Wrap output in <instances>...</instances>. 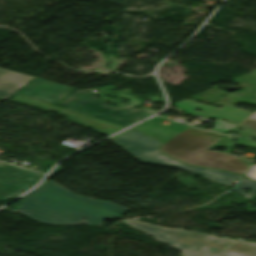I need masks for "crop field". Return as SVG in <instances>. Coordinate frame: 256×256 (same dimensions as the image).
<instances>
[{"label": "crop field", "instance_id": "8a807250", "mask_svg": "<svg viewBox=\"0 0 256 256\" xmlns=\"http://www.w3.org/2000/svg\"><path fill=\"white\" fill-rule=\"evenodd\" d=\"M126 211L128 209L106 201L73 194L51 181L23 196L20 206L15 209V212L44 224L98 227L102 226L103 220L114 221Z\"/></svg>", "mask_w": 256, "mask_h": 256}, {"label": "crop field", "instance_id": "ac0d7876", "mask_svg": "<svg viewBox=\"0 0 256 256\" xmlns=\"http://www.w3.org/2000/svg\"><path fill=\"white\" fill-rule=\"evenodd\" d=\"M163 120L153 117L134 129L153 136L163 144L160 148L162 152L187 164L218 168L241 175L248 170L240 158L207 149L223 135L176 123L168 128L158 125Z\"/></svg>", "mask_w": 256, "mask_h": 256}, {"label": "crop field", "instance_id": "34b2d1b8", "mask_svg": "<svg viewBox=\"0 0 256 256\" xmlns=\"http://www.w3.org/2000/svg\"><path fill=\"white\" fill-rule=\"evenodd\" d=\"M113 142L119 144L135 157L146 162L189 170L229 187H231L239 178V175L219 170L193 167L174 160L159 151L157 147L161 144H159V142L154 138L134 130L125 133L119 138L113 140Z\"/></svg>", "mask_w": 256, "mask_h": 256}, {"label": "crop field", "instance_id": "412701ff", "mask_svg": "<svg viewBox=\"0 0 256 256\" xmlns=\"http://www.w3.org/2000/svg\"><path fill=\"white\" fill-rule=\"evenodd\" d=\"M124 223L157 238L174 249L184 251L183 256H217L234 241L184 229H163L134 220Z\"/></svg>", "mask_w": 256, "mask_h": 256}, {"label": "crop field", "instance_id": "f4fd0767", "mask_svg": "<svg viewBox=\"0 0 256 256\" xmlns=\"http://www.w3.org/2000/svg\"><path fill=\"white\" fill-rule=\"evenodd\" d=\"M59 105H64L72 111L84 113L123 126H128L156 113L153 110H140L130 106H106L103 101L95 98L94 92L91 90L77 91L59 103Z\"/></svg>", "mask_w": 256, "mask_h": 256}, {"label": "crop field", "instance_id": "dd49c442", "mask_svg": "<svg viewBox=\"0 0 256 256\" xmlns=\"http://www.w3.org/2000/svg\"><path fill=\"white\" fill-rule=\"evenodd\" d=\"M178 109L184 112L200 115L202 117L210 116L215 118H223L227 119L231 122L236 123H242L244 120H246L250 115L253 114V112L245 111L239 108H235L232 106H224L221 109L184 100L179 103L174 104ZM196 108L204 110L203 113L196 111Z\"/></svg>", "mask_w": 256, "mask_h": 256}, {"label": "crop field", "instance_id": "e52e79f7", "mask_svg": "<svg viewBox=\"0 0 256 256\" xmlns=\"http://www.w3.org/2000/svg\"><path fill=\"white\" fill-rule=\"evenodd\" d=\"M72 91L73 89L67 86L37 79L25 87L19 94L55 105Z\"/></svg>", "mask_w": 256, "mask_h": 256}, {"label": "crop field", "instance_id": "d8731c3e", "mask_svg": "<svg viewBox=\"0 0 256 256\" xmlns=\"http://www.w3.org/2000/svg\"><path fill=\"white\" fill-rule=\"evenodd\" d=\"M34 77L0 68V100L13 96Z\"/></svg>", "mask_w": 256, "mask_h": 256}, {"label": "crop field", "instance_id": "5a996713", "mask_svg": "<svg viewBox=\"0 0 256 256\" xmlns=\"http://www.w3.org/2000/svg\"><path fill=\"white\" fill-rule=\"evenodd\" d=\"M42 176V174L0 162V178L35 184L42 178Z\"/></svg>", "mask_w": 256, "mask_h": 256}, {"label": "crop field", "instance_id": "3316defc", "mask_svg": "<svg viewBox=\"0 0 256 256\" xmlns=\"http://www.w3.org/2000/svg\"><path fill=\"white\" fill-rule=\"evenodd\" d=\"M31 187L32 185L0 179V200L16 197Z\"/></svg>", "mask_w": 256, "mask_h": 256}, {"label": "crop field", "instance_id": "28ad6ade", "mask_svg": "<svg viewBox=\"0 0 256 256\" xmlns=\"http://www.w3.org/2000/svg\"><path fill=\"white\" fill-rule=\"evenodd\" d=\"M221 256H256V244L236 242Z\"/></svg>", "mask_w": 256, "mask_h": 256}, {"label": "crop field", "instance_id": "d1516ede", "mask_svg": "<svg viewBox=\"0 0 256 256\" xmlns=\"http://www.w3.org/2000/svg\"><path fill=\"white\" fill-rule=\"evenodd\" d=\"M243 129L244 131L240 132L239 129ZM233 131L240 133L235 139H236V145L243 146V147H249V148H255L256 149V143L251 142L252 139L250 136L256 137V133L250 130H247L245 128H242L240 126H237Z\"/></svg>", "mask_w": 256, "mask_h": 256}, {"label": "crop field", "instance_id": "22f410ed", "mask_svg": "<svg viewBox=\"0 0 256 256\" xmlns=\"http://www.w3.org/2000/svg\"><path fill=\"white\" fill-rule=\"evenodd\" d=\"M245 188L253 190V193L256 192V181L242 178L234 190L238 191L240 194L245 196L246 198L250 197L253 193L249 194L244 191Z\"/></svg>", "mask_w": 256, "mask_h": 256}, {"label": "crop field", "instance_id": "cbeb9de0", "mask_svg": "<svg viewBox=\"0 0 256 256\" xmlns=\"http://www.w3.org/2000/svg\"><path fill=\"white\" fill-rule=\"evenodd\" d=\"M234 127H236V125L216 120L213 131L222 132L226 134L227 132L231 131Z\"/></svg>", "mask_w": 256, "mask_h": 256}, {"label": "crop field", "instance_id": "5142ce71", "mask_svg": "<svg viewBox=\"0 0 256 256\" xmlns=\"http://www.w3.org/2000/svg\"><path fill=\"white\" fill-rule=\"evenodd\" d=\"M214 146H219V147H226V148H233L232 142L230 137L226 136L223 137L222 139H220L218 142H216L213 146H211L210 148L214 147ZM209 148V149H210Z\"/></svg>", "mask_w": 256, "mask_h": 256}, {"label": "crop field", "instance_id": "d9b57169", "mask_svg": "<svg viewBox=\"0 0 256 256\" xmlns=\"http://www.w3.org/2000/svg\"><path fill=\"white\" fill-rule=\"evenodd\" d=\"M118 96L123 97V98H125V99H127L131 102L136 103V104H142L143 103V101H141V100H139V99H137V98H135L131 95H128L126 93H118Z\"/></svg>", "mask_w": 256, "mask_h": 256}, {"label": "crop field", "instance_id": "733c2abd", "mask_svg": "<svg viewBox=\"0 0 256 256\" xmlns=\"http://www.w3.org/2000/svg\"><path fill=\"white\" fill-rule=\"evenodd\" d=\"M242 127L248 128L250 130H253L256 132V121H252V120H247L245 121L242 125H240Z\"/></svg>", "mask_w": 256, "mask_h": 256}, {"label": "crop field", "instance_id": "4a817a6b", "mask_svg": "<svg viewBox=\"0 0 256 256\" xmlns=\"http://www.w3.org/2000/svg\"><path fill=\"white\" fill-rule=\"evenodd\" d=\"M245 177L256 180V164H253L250 172L247 175H245Z\"/></svg>", "mask_w": 256, "mask_h": 256}, {"label": "crop field", "instance_id": "bc2a9ffb", "mask_svg": "<svg viewBox=\"0 0 256 256\" xmlns=\"http://www.w3.org/2000/svg\"><path fill=\"white\" fill-rule=\"evenodd\" d=\"M249 118L256 119V112L252 116H250Z\"/></svg>", "mask_w": 256, "mask_h": 256}, {"label": "crop field", "instance_id": "214f88e0", "mask_svg": "<svg viewBox=\"0 0 256 256\" xmlns=\"http://www.w3.org/2000/svg\"><path fill=\"white\" fill-rule=\"evenodd\" d=\"M129 105L133 107V106H135L136 104L130 103Z\"/></svg>", "mask_w": 256, "mask_h": 256}]
</instances>
